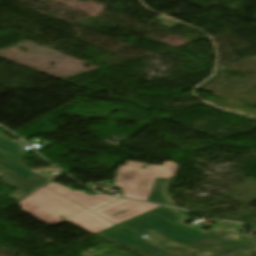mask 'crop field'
<instances>
[{
    "instance_id": "obj_1",
    "label": "crop field",
    "mask_w": 256,
    "mask_h": 256,
    "mask_svg": "<svg viewBox=\"0 0 256 256\" xmlns=\"http://www.w3.org/2000/svg\"><path fill=\"white\" fill-rule=\"evenodd\" d=\"M184 218L175 208L161 206L117 225L137 236L153 231L188 247L209 249L212 256H237L242 250L256 247L255 242L226 239L213 232L200 233L178 222Z\"/></svg>"
},
{
    "instance_id": "obj_2",
    "label": "crop field",
    "mask_w": 256,
    "mask_h": 256,
    "mask_svg": "<svg viewBox=\"0 0 256 256\" xmlns=\"http://www.w3.org/2000/svg\"><path fill=\"white\" fill-rule=\"evenodd\" d=\"M126 164L118 168L114 185L124 190L123 196L144 201L148 200L156 177L173 178L178 169V166L171 162H165L163 166L147 165L145 169L141 168L146 165L143 163L127 161Z\"/></svg>"
},
{
    "instance_id": "obj_3",
    "label": "crop field",
    "mask_w": 256,
    "mask_h": 256,
    "mask_svg": "<svg viewBox=\"0 0 256 256\" xmlns=\"http://www.w3.org/2000/svg\"><path fill=\"white\" fill-rule=\"evenodd\" d=\"M20 205L22 206L23 212L49 226L69 221L89 212L45 187L20 202ZM33 206H37L38 208ZM59 215L66 219L63 220L59 218ZM67 215H69V217Z\"/></svg>"
},
{
    "instance_id": "obj_4",
    "label": "crop field",
    "mask_w": 256,
    "mask_h": 256,
    "mask_svg": "<svg viewBox=\"0 0 256 256\" xmlns=\"http://www.w3.org/2000/svg\"><path fill=\"white\" fill-rule=\"evenodd\" d=\"M21 162L15 157L0 152V169L2 170L0 177L6 184L19 190L12 195V198L19 202L53 182L38 173L32 172L31 169L21 165Z\"/></svg>"
},
{
    "instance_id": "obj_5",
    "label": "crop field",
    "mask_w": 256,
    "mask_h": 256,
    "mask_svg": "<svg viewBox=\"0 0 256 256\" xmlns=\"http://www.w3.org/2000/svg\"><path fill=\"white\" fill-rule=\"evenodd\" d=\"M104 239L116 244L123 245L140 256H165L166 252L154 247L137 236L117 227L116 225L96 233Z\"/></svg>"
},
{
    "instance_id": "obj_6",
    "label": "crop field",
    "mask_w": 256,
    "mask_h": 256,
    "mask_svg": "<svg viewBox=\"0 0 256 256\" xmlns=\"http://www.w3.org/2000/svg\"><path fill=\"white\" fill-rule=\"evenodd\" d=\"M156 207L158 206L121 199L97 209L93 213L117 224Z\"/></svg>"
},
{
    "instance_id": "obj_7",
    "label": "crop field",
    "mask_w": 256,
    "mask_h": 256,
    "mask_svg": "<svg viewBox=\"0 0 256 256\" xmlns=\"http://www.w3.org/2000/svg\"><path fill=\"white\" fill-rule=\"evenodd\" d=\"M45 187L55 191L56 193L66 197L67 199L77 203L78 205H80L90 211H93L97 208H100V207L108 204L109 201L113 202V201L118 200V198H111V197H107V196L100 195V194H97L94 196H89L80 191H72L71 189L64 187L60 184H57L55 182H53Z\"/></svg>"
},
{
    "instance_id": "obj_8",
    "label": "crop field",
    "mask_w": 256,
    "mask_h": 256,
    "mask_svg": "<svg viewBox=\"0 0 256 256\" xmlns=\"http://www.w3.org/2000/svg\"><path fill=\"white\" fill-rule=\"evenodd\" d=\"M69 222L81 227L82 229H84L92 234L114 225L113 223H111V222L91 213V212H89L85 215H82L78 218H75Z\"/></svg>"
},
{
    "instance_id": "obj_9",
    "label": "crop field",
    "mask_w": 256,
    "mask_h": 256,
    "mask_svg": "<svg viewBox=\"0 0 256 256\" xmlns=\"http://www.w3.org/2000/svg\"><path fill=\"white\" fill-rule=\"evenodd\" d=\"M169 181L170 179L157 178L148 201L174 206V202L165 195Z\"/></svg>"
},
{
    "instance_id": "obj_10",
    "label": "crop field",
    "mask_w": 256,
    "mask_h": 256,
    "mask_svg": "<svg viewBox=\"0 0 256 256\" xmlns=\"http://www.w3.org/2000/svg\"><path fill=\"white\" fill-rule=\"evenodd\" d=\"M25 142H15L8 137L0 134V150L4 152H8L12 155H15L17 157L27 153L26 150L22 149L21 147H18L19 145L23 144Z\"/></svg>"
}]
</instances>
